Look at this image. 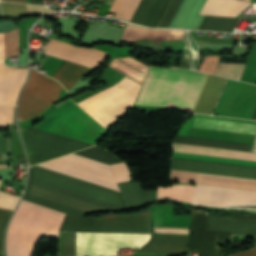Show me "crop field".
<instances>
[{
	"instance_id": "4",
	"label": "crop field",
	"mask_w": 256,
	"mask_h": 256,
	"mask_svg": "<svg viewBox=\"0 0 256 256\" xmlns=\"http://www.w3.org/2000/svg\"><path fill=\"white\" fill-rule=\"evenodd\" d=\"M36 128L93 144L107 132L71 100L57 108Z\"/></svg>"
},
{
	"instance_id": "11",
	"label": "crop field",
	"mask_w": 256,
	"mask_h": 256,
	"mask_svg": "<svg viewBox=\"0 0 256 256\" xmlns=\"http://www.w3.org/2000/svg\"><path fill=\"white\" fill-rule=\"evenodd\" d=\"M187 236L152 235V239L137 252L186 254Z\"/></svg>"
},
{
	"instance_id": "38",
	"label": "crop field",
	"mask_w": 256,
	"mask_h": 256,
	"mask_svg": "<svg viewBox=\"0 0 256 256\" xmlns=\"http://www.w3.org/2000/svg\"><path fill=\"white\" fill-rule=\"evenodd\" d=\"M228 256H256V248L239 252Z\"/></svg>"
},
{
	"instance_id": "5",
	"label": "crop field",
	"mask_w": 256,
	"mask_h": 256,
	"mask_svg": "<svg viewBox=\"0 0 256 256\" xmlns=\"http://www.w3.org/2000/svg\"><path fill=\"white\" fill-rule=\"evenodd\" d=\"M62 88L57 81L32 68L20 96L18 118L24 121L41 115L56 102Z\"/></svg>"
},
{
	"instance_id": "24",
	"label": "crop field",
	"mask_w": 256,
	"mask_h": 256,
	"mask_svg": "<svg viewBox=\"0 0 256 256\" xmlns=\"http://www.w3.org/2000/svg\"><path fill=\"white\" fill-rule=\"evenodd\" d=\"M141 0H115L110 10L117 12L116 18L130 21Z\"/></svg>"
},
{
	"instance_id": "32",
	"label": "crop field",
	"mask_w": 256,
	"mask_h": 256,
	"mask_svg": "<svg viewBox=\"0 0 256 256\" xmlns=\"http://www.w3.org/2000/svg\"><path fill=\"white\" fill-rule=\"evenodd\" d=\"M1 182V180H0ZM19 197L0 192V207L14 210Z\"/></svg>"
},
{
	"instance_id": "7",
	"label": "crop field",
	"mask_w": 256,
	"mask_h": 256,
	"mask_svg": "<svg viewBox=\"0 0 256 256\" xmlns=\"http://www.w3.org/2000/svg\"><path fill=\"white\" fill-rule=\"evenodd\" d=\"M39 165L119 190L108 164L71 154Z\"/></svg>"
},
{
	"instance_id": "42",
	"label": "crop field",
	"mask_w": 256,
	"mask_h": 256,
	"mask_svg": "<svg viewBox=\"0 0 256 256\" xmlns=\"http://www.w3.org/2000/svg\"><path fill=\"white\" fill-rule=\"evenodd\" d=\"M110 66V65H109ZM112 67V66H111ZM114 68V67H113ZM116 69V68H115ZM118 70V69H117ZM120 71V70H119ZM121 72V71H120ZM123 73V72H122ZM125 74V73H124ZM127 75V74H126ZM129 76V75H128ZM131 77V76H130ZM132 78V77H131ZM134 79V78H133ZM136 80V79H135ZM138 81V80H137ZM140 82V81H139ZM142 83V82H141Z\"/></svg>"
},
{
	"instance_id": "14",
	"label": "crop field",
	"mask_w": 256,
	"mask_h": 256,
	"mask_svg": "<svg viewBox=\"0 0 256 256\" xmlns=\"http://www.w3.org/2000/svg\"><path fill=\"white\" fill-rule=\"evenodd\" d=\"M207 230L231 231L235 235L256 236V219L223 218L210 216Z\"/></svg>"
},
{
	"instance_id": "9",
	"label": "crop field",
	"mask_w": 256,
	"mask_h": 256,
	"mask_svg": "<svg viewBox=\"0 0 256 256\" xmlns=\"http://www.w3.org/2000/svg\"><path fill=\"white\" fill-rule=\"evenodd\" d=\"M193 204L220 208L225 205L256 204V191L198 184Z\"/></svg>"
},
{
	"instance_id": "30",
	"label": "crop field",
	"mask_w": 256,
	"mask_h": 256,
	"mask_svg": "<svg viewBox=\"0 0 256 256\" xmlns=\"http://www.w3.org/2000/svg\"><path fill=\"white\" fill-rule=\"evenodd\" d=\"M182 1L183 0H173L159 27H169Z\"/></svg>"
},
{
	"instance_id": "10",
	"label": "crop field",
	"mask_w": 256,
	"mask_h": 256,
	"mask_svg": "<svg viewBox=\"0 0 256 256\" xmlns=\"http://www.w3.org/2000/svg\"><path fill=\"white\" fill-rule=\"evenodd\" d=\"M171 169L256 179V168L172 158Z\"/></svg>"
},
{
	"instance_id": "41",
	"label": "crop field",
	"mask_w": 256,
	"mask_h": 256,
	"mask_svg": "<svg viewBox=\"0 0 256 256\" xmlns=\"http://www.w3.org/2000/svg\"><path fill=\"white\" fill-rule=\"evenodd\" d=\"M113 0H108L107 4L111 5Z\"/></svg>"
},
{
	"instance_id": "12",
	"label": "crop field",
	"mask_w": 256,
	"mask_h": 256,
	"mask_svg": "<svg viewBox=\"0 0 256 256\" xmlns=\"http://www.w3.org/2000/svg\"><path fill=\"white\" fill-rule=\"evenodd\" d=\"M170 2L171 0H142L131 21L157 27Z\"/></svg>"
},
{
	"instance_id": "37",
	"label": "crop field",
	"mask_w": 256,
	"mask_h": 256,
	"mask_svg": "<svg viewBox=\"0 0 256 256\" xmlns=\"http://www.w3.org/2000/svg\"><path fill=\"white\" fill-rule=\"evenodd\" d=\"M0 62L4 64V33H0Z\"/></svg>"
},
{
	"instance_id": "22",
	"label": "crop field",
	"mask_w": 256,
	"mask_h": 256,
	"mask_svg": "<svg viewBox=\"0 0 256 256\" xmlns=\"http://www.w3.org/2000/svg\"><path fill=\"white\" fill-rule=\"evenodd\" d=\"M174 142L208 146V147H216V148H224V149H231V150H239V151H247V152H250L251 146H252L248 144L214 141V140H206V139H198V138L181 137V136H177Z\"/></svg>"
},
{
	"instance_id": "19",
	"label": "crop field",
	"mask_w": 256,
	"mask_h": 256,
	"mask_svg": "<svg viewBox=\"0 0 256 256\" xmlns=\"http://www.w3.org/2000/svg\"><path fill=\"white\" fill-rule=\"evenodd\" d=\"M193 126L244 132V133H252V134H255L256 132V125H253V124L227 122V121L210 120V119H202V118H197Z\"/></svg>"
},
{
	"instance_id": "16",
	"label": "crop field",
	"mask_w": 256,
	"mask_h": 256,
	"mask_svg": "<svg viewBox=\"0 0 256 256\" xmlns=\"http://www.w3.org/2000/svg\"><path fill=\"white\" fill-rule=\"evenodd\" d=\"M184 31L180 30H151L128 24L121 41L149 39L183 42Z\"/></svg>"
},
{
	"instance_id": "21",
	"label": "crop field",
	"mask_w": 256,
	"mask_h": 256,
	"mask_svg": "<svg viewBox=\"0 0 256 256\" xmlns=\"http://www.w3.org/2000/svg\"><path fill=\"white\" fill-rule=\"evenodd\" d=\"M196 186L172 185L168 188L158 187L157 199H174L192 203Z\"/></svg>"
},
{
	"instance_id": "25",
	"label": "crop field",
	"mask_w": 256,
	"mask_h": 256,
	"mask_svg": "<svg viewBox=\"0 0 256 256\" xmlns=\"http://www.w3.org/2000/svg\"><path fill=\"white\" fill-rule=\"evenodd\" d=\"M173 157L256 167V162L174 152Z\"/></svg>"
},
{
	"instance_id": "3",
	"label": "crop field",
	"mask_w": 256,
	"mask_h": 256,
	"mask_svg": "<svg viewBox=\"0 0 256 256\" xmlns=\"http://www.w3.org/2000/svg\"><path fill=\"white\" fill-rule=\"evenodd\" d=\"M49 43L42 46L45 54L61 58L86 67H99L106 61L109 51L99 48L76 47L68 43L49 39ZM65 61L64 64L51 76L69 91L84 75L88 68Z\"/></svg>"
},
{
	"instance_id": "33",
	"label": "crop field",
	"mask_w": 256,
	"mask_h": 256,
	"mask_svg": "<svg viewBox=\"0 0 256 256\" xmlns=\"http://www.w3.org/2000/svg\"><path fill=\"white\" fill-rule=\"evenodd\" d=\"M11 210L0 209V252L3 251V234L5 230L6 223L11 215ZM4 255V254H3Z\"/></svg>"
},
{
	"instance_id": "28",
	"label": "crop field",
	"mask_w": 256,
	"mask_h": 256,
	"mask_svg": "<svg viewBox=\"0 0 256 256\" xmlns=\"http://www.w3.org/2000/svg\"><path fill=\"white\" fill-rule=\"evenodd\" d=\"M18 55V28L5 33V57Z\"/></svg>"
},
{
	"instance_id": "40",
	"label": "crop field",
	"mask_w": 256,
	"mask_h": 256,
	"mask_svg": "<svg viewBox=\"0 0 256 256\" xmlns=\"http://www.w3.org/2000/svg\"><path fill=\"white\" fill-rule=\"evenodd\" d=\"M10 1H21L27 3V0H10Z\"/></svg>"
},
{
	"instance_id": "20",
	"label": "crop field",
	"mask_w": 256,
	"mask_h": 256,
	"mask_svg": "<svg viewBox=\"0 0 256 256\" xmlns=\"http://www.w3.org/2000/svg\"><path fill=\"white\" fill-rule=\"evenodd\" d=\"M198 183L256 190V181L200 174Z\"/></svg>"
},
{
	"instance_id": "39",
	"label": "crop field",
	"mask_w": 256,
	"mask_h": 256,
	"mask_svg": "<svg viewBox=\"0 0 256 256\" xmlns=\"http://www.w3.org/2000/svg\"><path fill=\"white\" fill-rule=\"evenodd\" d=\"M252 152H256V139H255V143H254V147H253V151Z\"/></svg>"
},
{
	"instance_id": "17",
	"label": "crop field",
	"mask_w": 256,
	"mask_h": 256,
	"mask_svg": "<svg viewBox=\"0 0 256 256\" xmlns=\"http://www.w3.org/2000/svg\"><path fill=\"white\" fill-rule=\"evenodd\" d=\"M118 185L128 208L156 201L155 191L143 192L138 181H128Z\"/></svg>"
},
{
	"instance_id": "36",
	"label": "crop field",
	"mask_w": 256,
	"mask_h": 256,
	"mask_svg": "<svg viewBox=\"0 0 256 256\" xmlns=\"http://www.w3.org/2000/svg\"><path fill=\"white\" fill-rule=\"evenodd\" d=\"M27 11L29 15H35V14H48L50 12H53L45 7H40V6H34V5H28L26 4Z\"/></svg>"
},
{
	"instance_id": "26",
	"label": "crop field",
	"mask_w": 256,
	"mask_h": 256,
	"mask_svg": "<svg viewBox=\"0 0 256 256\" xmlns=\"http://www.w3.org/2000/svg\"><path fill=\"white\" fill-rule=\"evenodd\" d=\"M74 154H78V155L88 157V158L98 160L108 164L124 162L123 160L119 159L111 152L105 151L99 148H95V147H92Z\"/></svg>"
},
{
	"instance_id": "35",
	"label": "crop field",
	"mask_w": 256,
	"mask_h": 256,
	"mask_svg": "<svg viewBox=\"0 0 256 256\" xmlns=\"http://www.w3.org/2000/svg\"><path fill=\"white\" fill-rule=\"evenodd\" d=\"M198 43L233 44L234 38L197 37Z\"/></svg>"
},
{
	"instance_id": "27",
	"label": "crop field",
	"mask_w": 256,
	"mask_h": 256,
	"mask_svg": "<svg viewBox=\"0 0 256 256\" xmlns=\"http://www.w3.org/2000/svg\"><path fill=\"white\" fill-rule=\"evenodd\" d=\"M244 66L245 65L219 63L214 74L239 80Z\"/></svg>"
},
{
	"instance_id": "23",
	"label": "crop field",
	"mask_w": 256,
	"mask_h": 256,
	"mask_svg": "<svg viewBox=\"0 0 256 256\" xmlns=\"http://www.w3.org/2000/svg\"><path fill=\"white\" fill-rule=\"evenodd\" d=\"M238 19L205 16L199 29L210 31L232 32Z\"/></svg>"
},
{
	"instance_id": "1",
	"label": "crop field",
	"mask_w": 256,
	"mask_h": 256,
	"mask_svg": "<svg viewBox=\"0 0 256 256\" xmlns=\"http://www.w3.org/2000/svg\"><path fill=\"white\" fill-rule=\"evenodd\" d=\"M23 200L84 218L85 211L126 207L119 192L39 167L30 168ZM21 202L8 229L7 256H32L42 236L56 237L65 213ZM66 215L60 231L150 233L149 211L81 219ZM77 232L76 256H115L122 247L140 248L150 234Z\"/></svg>"
},
{
	"instance_id": "29",
	"label": "crop field",
	"mask_w": 256,
	"mask_h": 256,
	"mask_svg": "<svg viewBox=\"0 0 256 256\" xmlns=\"http://www.w3.org/2000/svg\"><path fill=\"white\" fill-rule=\"evenodd\" d=\"M117 183L127 181L131 178V172L125 163L110 165Z\"/></svg>"
},
{
	"instance_id": "18",
	"label": "crop field",
	"mask_w": 256,
	"mask_h": 256,
	"mask_svg": "<svg viewBox=\"0 0 256 256\" xmlns=\"http://www.w3.org/2000/svg\"><path fill=\"white\" fill-rule=\"evenodd\" d=\"M174 151L256 161V153L231 151L174 143Z\"/></svg>"
},
{
	"instance_id": "6",
	"label": "crop field",
	"mask_w": 256,
	"mask_h": 256,
	"mask_svg": "<svg viewBox=\"0 0 256 256\" xmlns=\"http://www.w3.org/2000/svg\"><path fill=\"white\" fill-rule=\"evenodd\" d=\"M30 165H36L93 145L23 127Z\"/></svg>"
},
{
	"instance_id": "13",
	"label": "crop field",
	"mask_w": 256,
	"mask_h": 256,
	"mask_svg": "<svg viewBox=\"0 0 256 256\" xmlns=\"http://www.w3.org/2000/svg\"><path fill=\"white\" fill-rule=\"evenodd\" d=\"M26 71L0 64V101L14 104Z\"/></svg>"
},
{
	"instance_id": "34",
	"label": "crop field",
	"mask_w": 256,
	"mask_h": 256,
	"mask_svg": "<svg viewBox=\"0 0 256 256\" xmlns=\"http://www.w3.org/2000/svg\"><path fill=\"white\" fill-rule=\"evenodd\" d=\"M198 174L172 171L171 180L186 183H195Z\"/></svg>"
},
{
	"instance_id": "31",
	"label": "crop field",
	"mask_w": 256,
	"mask_h": 256,
	"mask_svg": "<svg viewBox=\"0 0 256 256\" xmlns=\"http://www.w3.org/2000/svg\"><path fill=\"white\" fill-rule=\"evenodd\" d=\"M13 106L0 103V127L12 122Z\"/></svg>"
},
{
	"instance_id": "15",
	"label": "crop field",
	"mask_w": 256,
	"mask_h": 256,
	"mask_svg": "<svg viewBox=\"0 0 256 256\" xmlns=\"http://www.w3.org/2000/svg\"><path fill=\"white\" fill-rule=\"evenodd\" d=\"M206 0H184L170 27L198 29L204 16L198 15Z\"/></svg>"
},
{
	"instance_id": "8",
	"label": "crop field",
	"mask_w": 256,
	"mask_h": 256,
	"mask_svg": "<svg viewBox=\"0 0 256 256\" xmlns=\"http://www.w3.org/2000/svg\"><path fill=\"white\" fill-rule=\"evenodd\" d=\"M208 212L193 210L189 235V252L198 251V256H224L218 247L219 241H229L230 232L206 231Z\"/></svg>"
},
{
	"instance_id": "2",
	"label": "crop field",
	"mask_w": 256,
	"mask_h": 256,
	"mask_svg": "<svg viewBox=\"0 0 256 256\" xmlns=\"http://www.w3.org/2000/svg\"><path fill=\"white\" fill-rule=\"evenodd\" d=\"M209 75L151 67L134 104L193 109Z\"/></svg>"
}]
</instances>
